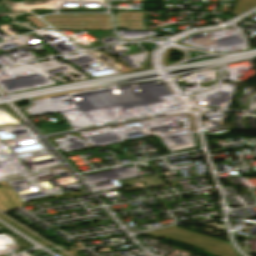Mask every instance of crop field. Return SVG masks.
Masks as SVG:
<instances>
[{
    "label": "crop field",
    "instance_id": "obj_2",
    "mask_svg": "<svg viewBox=\"0 0 256 256\" xmlns=\"http://www.w3.org/2000/svg\"><path fill=\"white\" fill-rule=\"evenodd\" d=\"M38 129L40 130L41 133L50 134V133L70 130L72 129V127L68 123H64L63 125H57V126L40 125L38 126Z\"/></svg>",
    "mask_w": 256,
    "mask_h": 256
},
{
    "label": "crop field",
    "instance_id": "obj_3",
    "mask_svg": "<svg viewBox=\"0 0 256 256\" xmlns=\"http://www.w3.org/2000/svg\"><path fill=\"white\" fill-rule=\"evenodd\" d=\"M5 15H8L4 10L3 8L0 6V17L2 16H5Z\"/></svg>",
    "mask_w": 256,
    "mask_h": 256
},
{
    "label": "crop field",
    "instance_id": "obj_1",
    "mask_svg": "<svg viewBox=\"0 0 256 256\" xmlns=\"http://www.w3.org/2000/svg\"><path fill=\"white\" fill-rule=\"evenodd\" d=\"M203 251L214 256H239L229 243L176 226L148 232Z\"/></svg>",
    "mask_w": 256,
    "mask_h": 256
}]
</instances>
